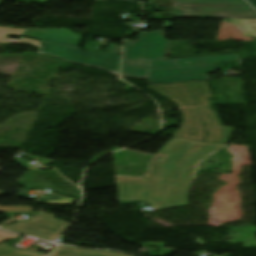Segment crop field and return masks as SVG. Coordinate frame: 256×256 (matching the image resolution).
<instances>
[{
    "label": "crop field",
    "instance_id": "8a807250",
    "mask_svg": "<svg viewBox=\"0 0 256 256\" xmlns=\"http://www.w3.org/2000/svg\"><path fill=\"white\" fill-rule=\"evenodd\" d=\"M200 143L171 138L161 149L159 154L165 157L151 164L153 179L144 178L146 200L152 204L153 210L188 204L187 193L192 183L188 182V172L191 165L209 157L220 146L210 143L193 151L180 163L181 179L178 163Z\"/></svg>",
    "mask_w": 256,
    "mask_h": 256
},
{
    "label": "crop field",
    "instance_id": "ac0d7876",
    "mask_svg": "<svg viewBox=\"0 0 256 256\" xmlns=\"http://www.w3.org/2000/svg\"><path fill=\"white\" fill-rule=\"evenodd\" d=\"M23 36L41 39L40 53L67 62L105 69L119 76L120 54L80 51L83 36L69 29H28Z\"/></svg>",
    "mask_w": 256,
    "mask_h": 256
},
{
    "label": "crop field",
    "instance_id": "34b2d1b8",
    "mask_svg": "<svg viewBox=\"0 0 256 256\" xmlns=\"http://www.w3.org/2000/svg\"><path fill=\"white\" fill-rule=\"evenodd\" d=\"M171 28V21H165V29ZM140 32L138 41L125 40L124 57L151 60L148 78L150 83L185 81L178 65L165 60V48L171 41L165 40L164 32Z\"/></svg>",
    "mask_w": 256,
    "mask_h": 256
},
{
    "label": "crop field",
    "instance_id": "412701ff",
    "mask_svg": "<svg viewBox=\"0 0 256 256\" xmlns=\"http://www.w3.org/2000/svg\"><path fill=\"white\" fill-rule=\"evenodd\" d=\"M149 87V86H148ZM150 88L178 105L183 120L172 137L203 141L204 128L184 82L150 85Z\"/></svg>",
    "mask_w": 256,
    "mask_h": 256
},
{
    "label": "crop field",
    "instance_id": "f4fd0767",
    "mask_svg": "<svg viewBox=\"0 0 256 256\" xmlns=\"http://www.w3.org/2000/svg\"><path fill=\"white\" fill-rule=\"evenodd\" d=\"M208 132L206 141L227 144L234 128L222 125L207 98L213 97L206 82L187 83Z\"/></svg>",
    "mask_w": 256,
    "mask_h": 256
},
{
    "label": "crop field",
    "instance_id": "dd49c442",
    "mask_svg": "<svg viewBox=\"0 0 256 256\" xmlns=\"http://www.w3.org/2000/svg\"><path fill=\"white\" fill-rule=\"evenodd\" d=\"M69 225L70 223L62 222L53 215L46 214L2 227V229L53 242Z\"/></svg>",
    "mask_w": 256,
    "mask_h": 256
},
{
    "label": "crop field",
    "instance_id": "e52e79f7",
    "mask_svg": "<svg viewBox=\"0 0 256 256\" xmlns=\"http://www.w3.org/2000/svg\"><path fill=\"white\" fill-rule=\"evenodd\" d=\"M240 60L239 54L188 59H176L186 81L209 79L208 73L214 72L215 62Z\"/></svg>",
    "mask_w": 256,
    "mask_h": 256
},
{
    "label": "crop field",
    "instance_id": "d8731c3e",
    "mask_svg": "<svg viewBox=\"0 0 256 256\" xmlns=\"http://www.w3.org/2000/svg\"><path fill=\"white\" fill-rule=\"evenodd\" d=\"M175 18H202V19H256L255 13L238 12H206V11H174ZM222 16L223 18H217Z\"/></svg>",
    "mask_w": 256,
    "mask_h": 256
},
{
    "label": "crop field",
    "instance_id": "5a996713",
    "mask_svg": "<svg viewBox=\"0 0 256 256\" xmlns=\"http://www.w3.org/2000/svg\"><path fill=\"white\" fill-rule=\"evenodd\" d=\"M207 10L253 12L247 5L175 3L174 10Z\"/></svg>",
    "mask_w": 256,
    "mask_h": 256
},
{
    "label": "crop field",
    "instance_id": "3316defc",
    "mask_svg": "<svg viewBox=\"0 0 256 256\" xmlns=\"http://www.w3.org/2000/svg\"><path fill=\"white\" fill-rule=\"evenodd\" d=\"M120 200H145L143 178L118 183Z\"/></svg>",
    "mask_w": 256,
    "mask_h": 256
},
{
    "label": "crop field",
    "instance_id": "28ad6ade",
    "mask_svg": "<svg viewBox=\"0 0 256 256\" xmlns=\"http://www.w3.org/2000/svg\"><path fill=\"white\" fill-rule=\"evenodd\" d=\"M150 61L124 58L122 76L147 78Z\"/></svg>",
    "mask_w": 256,
    "mask_h": 256
},
{
    "label": "crop field",
    "instance_id": "d1516ede",
    "mask_svg": "<svg viewBox=\"0 0 256 256\" xmlns=\"http://www.w3.org/2000/svg\"><path fill=\"white\" fill-rule=\"evenodd\" d=\"M51 256H125L117 253L90 251L59 245Z\"/></svg>",
    "mask_w": 256,
    "mask_h": 256
},
{
    "label": "crop field",
    "instance_id": "22f410ed",
    "mask_svg": "<svg viewBox=\"0 0 256 256\" xmlns=\"http://www.w3.org/2000/svg\"><path fill=\"white\" fill-rule=\"evenodd\" d=\"M231 22L245 35L256 37V20H231Z\"/></svg>",
    "mask_w": 256,
    "mask_h": 256
},
{
    "label": "crop field",
    "instance_id": "cbeb9de0",
    "mask_svg": "<svg viewBox=\"0 0 256 256\" xmlns=\"http://www.w3.org/2000/svg\"><path fill=\"white\" fill-rule=\"evenodd\" d=\"M0 256H42L29 251H22L11 247L7 243L0 244Z\"/></svg>",
    "mask_w": 256,
    "mask_h": 256
},
{
    "label": "crop field",
    "instance_id": "5142ce71",
    "mask_svg": "<svg viewBox=\"0 0 256 256\" xmlns=\"http://www.w3.org/2000/svg\"><path fill=\"white\" fill-rule=\"evenodd\" d=\"M75 199H70L58 195L51 194L47 197H42L41 202L53 203V204H73Z\"/></svg>",
    "mask_w": 256,
    "mask_h": 256
},
{
    "label": "crop field",
    "instance_id": "d9b57169",
    "mask_svg": "<svg viewBox=\"0 0 256 256\" xmlns=\"http://www.w3.org/2000/svg\"><path fill=\"white\" fill-rule=\"evenodd\" d=\"M175 2L245 4L242 0H175Z\"/></svg>",
    "mask_w": 256,
    "mask_h": 256
},
{
    "label": "crop field",
    "instance_id": "733c2abd",
    "mask_svg": "<svg viewBox=\"0 0 256 256\" xmlns=\"http://www.w3.org/2000/svg\"><path fill=\"white\" fill-rule=\"evenodd\" d=\"M3 192H0L2 194ZM33 211L32 206H17V207H4L0 208L1 213H14V212H29Z\"/></svg>",
    "mask_w": 256,
    "mask_h": 256
},
{
    "label": "crop field",
    "instance_id": "4a817a6b",
    "mask_svg": "<svg viewBox=\"0 0 256 256\" xmlns=\"http://www.w3.org/2000/svg\"><path fill=\"white\" fill-rule=\"evenodd\" d=\"M0 43H19V44L35 46V47L38 48V41L37 40H31V39H26V38H22L19 41H14V40H11V39H2Z\"/></svg>",
    "mask_w": 256,
    "mask_h": 256
},
{
    "label": "crop field",
    "instance_id": "bc2a9ffb",
    "mask_svg": "<svg viewBox=\"0 0 256 256\" xmlns=\"http://www.w3.org/2000/svg\"><path fill=\"white\" fill-rule=\"evenodd\" d=\"M18 236H21V235L10 233V232L0 231V243L10 240L12 238L18 237Z\"/></svg>",
    "mask_w": 256,
    "mask_h": 256
},
{
    "label": "crop field",
    "instance_id": "214f88e0",
    "mask_svg": "<svg viewBox=\"0 0 256 256\" xmlns=\"http://www.w3.org/2000/svg\"><path fill=\"white\" fill-rule=\"evenodd\" d=\"M0 28H3V27H0ZM26 30H27V29L9 28L7 32H8V34L22 36V35L26 32Z\"/></svg>",
    "mask_w": 256,
    "mask_h": 256
},
{
    "label": "crop field",
    "instance_id": "92a150f3",
    "mask_svg": "<svg viewBox=\"0 0 256 256\" xmlns=\"http://www.w3.org/2000/svg\"><path fill=\"white\" fill-rule=\"evenodd\" d=\"M122 46L110 44L108 52L121 53Z\"/></svg>",
    "mask_w": 256,
    "mask_h": 256
},
{
    "label": "crop field",
    "instance_id": "dafd665d",
    "mask_svg": "<svg viewBox=\"0 0 256 256\" xmlns=\"http://www.w3.org/2000/svg\"><path fill=\"white\" fill-rule=\"evenodd\" d=\"M6 30L7 29H0V40H1V38H6Z\"/></svg>",
    "mask_w": 256,
    "mask_h": 256
},
{
    "label": "crop field",
    "instance_id": "00972430",
    "mask_svg": "<svg viewBox=\"0 0 256 256\" xmlns=\"http://www.w3.org/2000/svg\"><path fill=\"white\" fill-rule=\"evenodd\" d=\"M247 1L250 2L256 8V0H247Z\"/></svg>",
    "mask_w": 256,
    "mask_h": 256
},
{
    "label": "crop field",
    "instance_id": "a9b5d70f",
    "mask_svg": "<svg viewBox=\"0 0 256 256\" xmlns=\"http://www.w3.org/2000/svg\"><path fill=\"white\" fill-rule=\"evenodd\" d=\"M1 2V1H0Z\"/></svg>",
    "mask_w": 256,
    "mask_h": 256
}]
</instances>
